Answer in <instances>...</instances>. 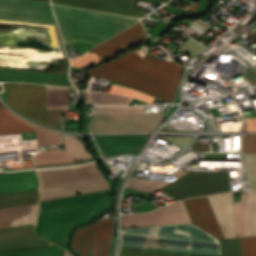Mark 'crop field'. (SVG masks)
Segmentation results:
<instances>
[{"label":"crop field","mask_w":256,"mask_h":256,"mask_svg":"<svg viewBox=\"0 0 256 256\" xmlns=\"http://www.w3.org/2000/svg\"><path fill=\"white\" fill-rule=\"evenodd\" d=\"M184 67L146 56L135 48L118 59L100 64L87 73L118 82L171 102Z\"/></svg>","instance_id":"crop-field-1"},{"label":"crop field","mask_w":256,"mask_h":256,"mask_svg":"<svg viewBox=\"0 0 256 256\" xmlns=\"http://www.w3.org/2000/svg\"><path fill=\"white\" fill-rule=\"evenodd\" d=\"M110 202L108 193H93L40 202L35 232L65 248L70 229L109 207Z\"/></svg>","instance_id":"crop-field-2"},{"label":"crop field","mask_w":256,"mask_h":256,"mask_svg":"<svg viewBox=\"0 0 256 256\" xmlns=\"http://www.w3.org/2000/svg\"><path fill=\"white\" fill-rule=\"evenodd\" d=\"M121 246L221 256L218 240L192 224L129 228Z\"/></svg>","instance_id":"crop-field-3"},{"label":"crop field","mask_w":256,"mask_h":256,"mask_svg":"<svg viewBox=\"0 0 256 256\" xmlns=\"http://www.w3.org/2000/svg\"><path fill=\"white\" fill-rule=\"evenodd\" d=\"M64 44L78 41L98 44L138 20L54 6Z\"/></svg>","instance_id":"crop-field-4"},{"label":"crop field","mask_w":256,"mask_h":256,"mask_svg":"<svg viewBox=\"0 0 256 256\" xmlns=\"http://www.w3.org/2000/svg\"><path fill=\"white\" fill-rule=\"evenodd\" d=\"M40 187H49L88 179L100 178L94 163L79 167L37 170ZM109 189L103 178L41 189L40 201Z\"/></svg>","instance_id":"crop-field-5"},{"label":"crop field","mask_w":256,"mask_h":256,"mask_svg":"<svg viewBox=\"0 0 256 256\" xmlns=\"http://www.w3.org/2000/svg\"><path fill=\"white\" fill-rule=\"evenodd\" d=\"M6 104L19 114L53 129L60 130L63 110L46 111L45 86L5 84Z\"/></svg>","instance_id":"crop-field-6"},{"label":"crop field","mask_w":256,"mask_h":256,"mask_svg":"<svg viewBox=\"0 0 256 256\" xmlns=\"http://www.w3.org/2000/svg\"><path fill=\"white\" fill-rule=\"evenodd\" d=\"M34 225L11 228L0 231V252L50 244L49 241L33 233ZM0 256H64V250L51 244L9 252L0 253Z\"/></svg>","instance_id":"crop-field-7"},{"label":"crop field","mask_w":256,"mask_h":256,"mask_svg":"<svg viewBox=\"0 0 256 256\" xmlns=\"http://www.w3.org/2000/svg\"><path fill=\"white\" fill-rule=\"evenodd\" d=\"M227 172L197 171L164 187L176 200L230 191Z\"/></svg>","instance_id":"crop-field-8"},{"label":"crop field","mask_w":256,"mask_h":256,"mask_svg":"<svg viewBox=\"0 0 256 256\" xmlns=\"http://www.w3.org/2000/svg\"><path fill=\"white\" fill-rule=\"evenodd\" d=\"M113 219H102L76 230L71 248L81 256H108Z\"/></svg>","instance_id":"crop-field-9"},{"label":"crop field","mask_w":256,"mask_h":256,"mask_svg":"<svg viewBox=\"0 0 256 256\" xmlns=\"http://www.w3.org/2000/svg\"><path fill=\"white\" fill-rule=\"evenodd\" d=\"M162 114H98L92 122V129L94 132H151Z\"/></svg>","instance_id":"crop-field-10"},{"label":"crop field","mask_w":256,"mask_h":256,"mask_svg":"<svg viewBox=\"0 0 256 256\" xmlns=\"http://www.w3.org/2000/svg\"><path fill=\"white\" fill-rule=\"evenodd\" d=\"M0 19L56 24L49 3L0 0Z\"/></svg>","instance_id":"crop-field-11"},{"label":"crop field","mask_w":256,"mask_h":256,"mask_svg":"<svg viewBox=\"0 0 256 256\" xmlns=\"http://www.w3.org/2000/svg\"><path fill=\"white\" fill-rule=\"evenodd\" d=\"M191 223L182 201L145 214L123 215L121 227Z\"/></svg>","instance_id":"crop-field-12"},{"label":"crop field","mask_w":256,"mask_h":256,"mask_svg":"<svg viewBox=\"0 0 256 256\" xmlns=\"http://www.w3.org/2000/svg\"><path fill=\"white\" fill-rule=\"evenodd\" d=\"M52 3L114 14L143 17L144 10L134 8L136 0H52Z\"/></svg>","instance_id":"crop-field-13"},{"label":"crop field","mask_w":256,"mask_h":256,"mask_svg":"<svg viewBox=\"0 0 256 256\" xmlns=\"http://www.w3.org/2000/svg\"><path fill=\"white\" fill-rule=\"evenodd\" d=\"M36 131L39 146L60 143V133L34 126L18 117L8 109L0 110V135Z\"/></svg>","instance_id":"crop-field-14"},{"label":"crop field","mask_w":256,"mask_h":256,"mask_svg":"<svg viewBox=\"0 0 256 256\" xmlns=\"http://www.w3.org/2000/svg\"><path fill=\"white\" fill-rule=\"evenodd\" d=\"M192 224L218 239L224 238L206 197L183 201Z\"/></svg>","instance_id":"crop-field-15"},{"label":"crop field","mask_w":256,"mask_h":256,"mask_svg":"<svg viewBox=\"0 0 256 256\" xmlns=\"http://www.w3.org/2000/svg\"><path fill=\"white\" fill-rule=\"evenodd\" d=\"M141 23H137L118 35L94 47L90 51L97 54L101 61H104L117 53L123 51L129 46L137 43V40L143 37Z\"/></svg>","instance_id":"crop-field-16"},{"label":"crop field","mask_w":256,"mask_h":256,"mask_svg":"<svg viewBox=\"0 0 256 256\" xmlns=\"http://www.w3.org/2000/svg\"><path fill=\"white\" fill-rule=\"evenodd\" d=\"M207 198L211 204V207L215 213L225 238L238 237L232 212L233 194L224 193Z\"/></svg>","instance_id":"crop-field-17"},{"label":"crop field","mask_w":256,"mask_h":256,"mask_svg":"<svg viewBox=\"0 0 256 256\" xmlns=\"http://www.w3.org/2000/svg\"><path fill=\"white\" fill-rule=\"evenodd\" d=\"M0 80L72 86L67 75L7 69H0Z\"/></svg>","instance_id":"crop-field-18"},{"label":"crop field","mask_w":256,"mask_h":256,"mask_svg":"<svg viewBox=\"0 0 256 256\" xmlns=\"http://www.w3.org/2000/svg\"><path fill=\"white\" fill-rule=\"evenodd\" d=\"M36 189H39V187L35 170L0 173V194Z\"/></svg>","instance_id":"crop-field-19"},{"label":"crop field","mask_w":256,"mask_h":256,"mask_svg":"<svg viewBox=\"0 0 256 256\" xmlns=\"http://www.w3.org/2000/svg\"><path fill=\"white\" fill-rule=\"evenodd\" d=\"M38 204L0 210V229L10 226L35 224Z\"/></svg>","instance_id":"crop-field-20"},{"label":"crop field","mask_w":256,"mask_h":256,"mask_svg":"<svg viewBox=\"0 0 256 256\" xmlns=\"http://www.w3.org/2000/svg\"><path fill=\"white\" fill-rule=\"evenodd\" d=\"M147 137L97 136L105 157L129 151L138 147Z\"/></svg>","instance_id":"crop-field-21"},{"label":"crop field","mask_w":256,"mask_h":256,"mask_svg":"<svg viewBox=\"0 0 256 256\" xmlns=\"http://www.w3.org/2000/svg\"><path fill=\"white\" fill-rule=\"evenodd\" d=\"M243 256H256V236L240 238ZM222 256H242L239 238L219 240Z\"/></svg>","instance_id":"crop-field-22"},{"label":"crop field","mask_w":256,"mask_h":256,"mask_svg":"<svg viewBox=\"0 0 256 256\" xmlns=\"http://www.w3.org/2000/svg\"><path fill=\"white\" fill-rule=\"evenodd\" d=\"M39 190L0 195V209L38 203Z\"/></svg>","instance_id":"crop-field-23"},{"label":"crop field","mask_w":256,"mask_h":256,"mask_svg":"<svg viewBox=\"0 0 256 256\" xmlns=\"http://www.w3.org/2000/svg\"><path fill=\"white\" fill-rule=\"evenodd\" d=\"M47 109L69 107L67 88L46 86Z\"/></svg>","instance_id":"crop-field-24"},{"label":"crop field","mask_w":256,"mask_h":256,"mask_svg":"<svg viewBox=\"0 0 256 256\" xmlns=\"http://www.w3.org/2000/svg\"><path fill=\"white\" fill-rule=\"evenodd\" d=\"M131 100V97L111 93L87 92V102L92 104L128 105Z\"/></svg>","instance_id":"crop-field-25"},{"label":"crop field","mask_w":256,"mask_h":256,"mask_svg":"<svg viewBox=\"0 0 256 256\" xmlns=\"http://www.w3.org/2000/svg\"><path fill=\"white\" fill-rule=\"evenodd\" d=\"M63 139L65 150L68 153L71 161L92 157L86 152L83 143L75 137L63 136Z\"/></svg>","instance_id":"crop-field-26"},{"label":"crop field","mask_w":256,"mask_h":256,"mask_svg":"<svg viewBox=\"0 0 256 256\" xmlns=\"http://www.w3.org/2000/svg\"><path fill=\"white\" fill-rule=\"evenodd\" d=\"M33 161L35 165L70 162L65 150H44L38 154H35Z\"/></svg>","instance_id":"crop-field-27"},{"label":"crop field","mask_w":256,"mask_h":256,"mask_svg":"<svg viewBox=\"0 0 256 256\" xmlns=\"http://www.w3.org/2000/svg\"><path fill=\"white\" fill-rule=\"evenodd\" d=\"M256 209V191L247 193V202L244 210V228L246 236L252 235V223Z\"/></svg>","instance_id":"crop-field-28"},{"label":"crop field","mask_w":256,"mask_h":256,"mask_svg":"<svg viewBox=\"0 0 256 256\" xmlns=\"http://www.w3.org/2000/svg\"><path fill=\"white\" fill-rule=\"evenodd\" d=\"M167 184L169 183L144 180V179H140L132 176L127 187H131L139 191L154 192Z\"/></svg>","instance_id":"crop-field-29"},{"label":"crop field","mask_w":256,"mask_h":256,"mask_svg":"<svg viewBox=\"0 0 256 256\" xmlns=\"http://www.w3.org/2000/svg\"><path fill=\"white\" fill-rule=\"evenodd\" d=\"M119 256H203L121 248Z\"/></svg>","instance_id":"crop-field-30"},{"label":"crop field","mask_w":256,"mask_h":256,"mask_svg":"<svg viewBox=\"0 0 256 256\" xmlns=\"http://www.w3.org/2000/svg\"><path fill=\"white\" fill-rule=\"evenodd\" d=\"M109 92L135 97L137 99L143 100V101L148 102L150 104H152V102L154 100V97L148 96L146 94L137 92V91L132 90V89L120 87V86H117V85H112Z\"/></svg>","instance_id":"crop-field-31"},{"label":"crop field","mask_w":256,"mask_h":256,"mask_svg":"<svg viewBox=\"0 0 256 256\" xmlns=\"http://www.w3.org/2000/svg\"><path fill=\"white\" fill-rule=\"evenodd\" d=\"M247 175L251 190H256V154L245 153Z\"/></svg>","instance_id":"crop-field-32"},{"label":"crop field","mask_w":256,"mask_h":256,"mask_svg":"<svg viewBox=\"0 0 256 256\" xmlns=\"http://www.w3.org/2000/svg\"><path fill=\"white\" fill-rule=\"evenodd\" d=\"M246 192H243L242 203H234V216L236 229L240 237L245 236L243 230V209Z\"/></svg>","instance_id":"crop-field-33"},{"label":"crop field","mask_w":256,"mask_h":256,"mask_svg":"<svg viewBox=\"0 0 256 256\" xmlns=\"http://www.w3.org/2000/svg\"><path fill=\"white\" fill-rule=\"evenodd\" d=\"M98 112L144 113V109H143V106H140V107H105V106H99Z\"/></svg>","instance_id":"crop-field-34"},{"label":"crop field","mask_w":256,"mask_h":256,"mask_svg":"<svg viewBox=\"0 0 256 256\" xmlns=\"http://www.w3.org/2000/svg\"><path fill=\"white\" fill-rule=\"evenodd\" d=\"M181 48L190 55V57L200 53L199 51H204L206 48L201 46L200 44L193 41L191 38L181 46Z\"/></svg>","instance_id":"crop-field-35"},{"label":"crop field","mask_w":256,"mask_h":256,"mask_svg":"<svg viewBox=\"0 0 256 256\" xmlns=\"http://www.w3.org/2000/svg\"><path fill=\"white\" fill-rule=\"evenodd\" d=\"M98 57L97 55H93V54H85L83 57L77 59V60H71V64L74 66H79V67H84L86 65H89L93 62L98 61ZM99 62V61H98ZM97 63V62H96ZM94 64V63H93ZM92 65V64H91ZM87 67V66H86ZM85 68V67H84Z\"/></svg>","instance_id":"crop-field-36"},{"label":"crop field","mask_w":256,"mask_h":256,"mask_svg":"<svg viewBox=\"0 0 256 256\" xmlns=\"http://www.w3.org/2000/svg\"><path fill=\"white\" fill-rule=\"evenodd\" d=\"M243 152L256 153V135H246Z\"/></svg>","instance_id":"crop-field-37"},{"label":"crop field","mask_w":256,"mask_h":256,"mask_svg":"<svg viewBox=\"0 0 256 256\" xmlns=\"http://www.w3.org/2000/svg\"><path fill=\"white\" fill-rule=\"evenodd\" d=\"M183 148H185V146L191 141V137L190 136H185V137H163Z\"/></svg>","instance_id":"crop-field-38"},{"label":"crop field","mask_w":256,"mask_h":256,"mask_svg":"<svg viewBox=\"0 0 256 256\" xmlns=\"http://www.w3.org/2000/svg\"><path fill=\"white\" fill-rule=\"evenodd\" d=\"M141 200H142V202H143L144 204H143V203H140V204L134 206L137 211H140V212H147V211H151V210H153V209L156 208V207H154L151 203H149L147 200H145L144 198L141 199Z\"/></svg>","instance_id":"crop-field-39"},{"label":"crop field","mask_w":256,"mask_h":256,"mask_svg":"<svg viewBox=\"0 0 256 256\" xmlns=\"http://www.w3.org/2000/svg\"><path fill=\"white\" fill-rule=\"evenodd\" d=\"M245 78L250 82L252 86H256V71L250 70L248 72L242 73Z\"/></svg>","instance_id":"crop-field-40"},{"label":"crop field","mask_w":256,"mask_h":256,"mask_svg":"<svg viewBox=\"0 0 256 256\" xmlns=\"http://www.w3.org/2000/svg\"><path fill=\"white\" fill-rule=\"evenodd\" d=\"M247 131L256 132V118L245 119Z\"/></svg>","instance_id":"crop-field-41"},{"label":"crop field","mask_w":256,"mask_h":256,"mask_svg":"<svg viewBox=\"0 0 256 256\" xmlns=\"http://www.w3.org/2000/svg\"><path fill=\"white\" fill-rule=\"evenodd\" d=\"M192 149L198 150V151H210L209 150V144H203V143H195Z\"/></svg>","instance_id":"crop-field-42"},{"label":"crop field","mask_w":256,"mask_h":256,"mask_svg":"<svg viewBox=\"0 0 256 256\" xmlns=\"http://www.w3.org/2000/svg\"><path fill=\"white\" fill-rule=\"evenodd\" d=\"M253 235H256V214H255L254 223H253Z\"/></svg>","instance_id":"crop-field-43"},{"label":"crop field","mask_w":256,"mask_h":256,"mask_svg":"<svg viewBox=\"0 0 256 256\" xmlns=\"http://www.w3.org/2000/svg\"><path fill=\"white\" fill-rule=\"evenodd\" d=\"M199 6V4L195 3L193 4L189 9L187 10H190V11H193L195 8H197Z\"/></svg>","instance_id":"crop-field-44"},{"label":"crop field","mask_w":256,"mask_h":256,"mask_svg":"<svg viewBox=\"0 0 256 256\" xmlns=\"http://www.w3.org/2000/svg\"><path fill=\"white\" fill-rule=\"evenodd\" d=\"M143 193H141V192H138V193H135V194H133V195H131L132 197H133V199L134 198H136V197H139L140 195H142Z\"/></svg>","instance_id":"crop-field-45"},{"label":"crop field","mask_w":256,"mask_h":256,"mask_svg":"<svg viewBox=\"0 0 256 256\" xmlns=\"http://www.w3.org/2000/svg\"><path fill=\"white\" fill-rule=\"evenodd\" d=\"M147 1H151V2L157 3V2H159V1H161V0H147ZM162 1H164V2L166 3V2H168L169 0H162Z\"/></svg>","instance_id":"crop-field-46"},{"label":"crop field","mask_w":256,"mask_h":256,"mask_svg":"<svg viewBox=\"0 0 256 256\" xmlns=\"http://www.w3.org/2000/svg\"><path fill=\"white\" fill-rule=\"evenodd\" d=\"M5 108L4 105L0 102V109Z\"/></svg>","instance_id":"crop-field-47"},{"label":"crop field","mask_w":256,"mask_h":256,"mask_svg":"<svg viewBox=\"0 0 256 256\" xmlns=\"http://www.w3.org/2000/svg\"><path fill=\"white\" fill-rule=\"evenodd\" d=\"M66 256H73L70 252L67 251Z\"/></svg>","instance_id":"crop-field-48"},{"label":"crop field","mask_w":256,"mask_h":256,"mask_svg":"<svg viewBox=\"0 0 256 256\" xmlns=\"http://www.w3.org/2000/svg\"><path fill=\"white\" fill-rule=\"evenodd\" d=\"M42 1H49V0H42Z\"/></svg>","instance_id":"crop-field-49"},{"label":"crop field","mask_w":256,"mask_h":256,"mask_svg":"<svg viewBox=\"0 0 256 256\" xmlns=\"http://www.w3.org/2000/svg\"><path fill=\"white\" fill-rule=\"evenodd\" d=\"M254 30H256V29H254Z\"/></svg>","instance_id":"crop-field-50"}]
</instances>
